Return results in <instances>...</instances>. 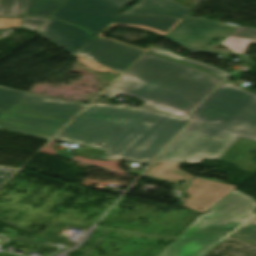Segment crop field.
Listing matches in <instances>:
<instances>
[{
    "instance_id": "1",
    "label": "crop field",
    "mask_w": 256,
    "mask_h": 256,
    "mask_svg": "<svg viewBox=\"0 0 256 256\" xmlns=\"http://www.w3.org/2000/svg\"><path fill=\"white\" fill-rule=\"evenodd\" d=\"M188 122L123 103H93L54 140L105 150L98 159L148 164Z\"/></svg>"
},
{
    "instance_id": "2",
    "label": "crop field",
    "mask_w": 256,
    "mask_h": 256,
    "mask_svg": "<svg viewBox=\"0 0 256 256\" xmlns=\"http://www.w3.org/2000/svg\"><path fill=\"white\" fill-rule=\"evenodd\" d=\"M193 122L156 158L218 160L239 138L256 141V95L224 81L192 114Z\"/></svg>"
},
{
    "instance_id": "3",
    "label": "crop field",
    "mask_w": 256,
    "mask_h": 256,
    "mask_svg": "<svg viewBox=\"0 0 256 256\" xmlns=\"http://www.w3.org/2000/svg\"><path fill=\"white\" fill-rule=\"evenodd\" d=\"M220 81L196 68L146 54L102 96L137 98L145 101L142 107L185 117Z\"/></svg>"
},
{
    "instance_id": "4",
    "label": "crop field",
    "mask_w": 256,
    "mask_h": 256,
    "mask_svg": "<svg viewBox=\"0 0 256 256\" xmlns=\"http://www.w3.org/2000/svg\"><path fill=\"white\" fill-rule=\"evenodd\" d=\"M255 209L253 199L234 190L208 214L198 217L158 256H201L253 215Z\"/></svg>"
},
{
    "instance_id": "5",
    "label": "crop field",
    "mask_w": 256,
    "mask_h": 256,
    "mask_svg": "<svg viewBox=\"0 0 256 256\" xmlns=\"http://www.w3.org/2000/svg\"><path fill=\"white\" fill-rule=\"evenodd\" d=\"M85 106L26 94L0 116V128L51 139Z\"/></svg>"
},
{
    "instance_id": "6",
    "label": "crop field",
    "mask_w": 256,
    "mask_h": 256,
    "mask_svg": "<svg viewBox=\"0 0 256 256\" xmlns=\"http://www.w3.org/2000/svg\"><path fill=\"white\" fill-rule=\"evenodd\" d=\"M189 12L190 11L188 9L184 8L173 0H141L137 5L132 7L129 11H126L124 14L164 15L168 17L184 19ZM180 21V19H173L167 17H140L131 15H120L110 26H127L147 29L154 33L165 36ZM110 26H108L97 36L106 38L104 36H101V34H103Z\"/></svg>"
},
{
    "instance_id": "7",
    "label": "crop field",
    "mask_w": 256,
    "mask_h": 256,
    "mask_svg": "<svg viewBox=\"0 0 256 256\" xmlns=\"http://www.w3.org/2000/svg\"><path fill=\"white\" fill-rule=\"evenodd\" d=\"M237 27V25L214 22L187 15L186 18L165 37L187 50L219 54V57L222 59H228L230 58V55H237L246 63L254 64V62L246 55L225 53L203 48V46L216 35L227 37Z\"/></svg>"
},
{
    "instance_id": "8",
    "label": "crop field",
    "mask_w": 256,
    "mask_h": 256,
    "mask_svg": "<svg viewBox=\"0 0 256 256\" xmlns=\"http://www.w3.org/2000/svg\"><path fill=\"white\" fill-rule=\"evenodd\" d=\"M142 53V51L94 37L75 56L78 57L77 61L91 70L120 74Z\"/></svg>"
},
{
    "instance_id": "9",
    "label": "crop field",
    "mask_w": 256,
    "mask_h": 256,
    "mask_svg": "<svg viewBox=\"0 0 256 256\" xmlns=\"http://www.w3.org/2000/svg\"><path fill=\"white\" fill-rule=\"evenodd\" d=\"M119 15L111 10L65 0L51 17L78 25L97 35Z\"/></svg>"
},
{
    "instance_id": "10",
    "label": "crop field",
    "mask_w": 256,
    "mask_h": 256,
    "mask_svg": "<svg viewBox=\"0 0 256 256\" xmlns=\"http://www.w3.org/2000/svg\"><path fill=\"white\" fill-rule=\"evenodd\" d=\"M235 188L234 185L196 178L185 191L190 197L181 206L204 213Z\"/></svg>"
},
{
    "instance_id": "11",
    "label": "crop field",
    "mask_w": 256,
    "mask_h": 256,
    "mask_svg": "<svg viewBox=\"0 0 256 256\" xmlns=\"http://www.w3.org/2000/svg\"><path fill=\"white\" fill-rule=\"evenodd\" d=\"M38 31L71 55L93 38L80 28L50 18L43 23Z\"/></svg>"
},
{
    "instance_id": "12",
    "label": "crop field",
    "mask_w": 256,
    "mask_h": 256,
    "mask_svg": "<svg viewBox=\"0 0 256 256\" xmlns=\"http://www.w3.org/2000/svg\"><path fill=\"white\" fill-rule=\"evenodd\" d=\"M155 162H161V164L155 165ZM180 164L181 163L179 162L154 160L142 176L173 183L176 189L183 190L188 181L194 176L179 169L178 166ZM183 179L186 180L183 186L181 188L176 187V185Z\"/></svg>"
},
{
    "instance_id": "13",
    "label": "crop field",
    "mask_w": 256,
    "mask_h": 256,
    "mask_svg": "<svg viewBox=\"0 0 256 256\" xmlns=\"http://www.w3.org/2000/svg\"><path fill=\"white\" fill-rule=\"evenodd\" d=\"M205 256H256V246L230 237Z\"/></svg>"
},
{
    "instance_id": "14",
    "label": "crop field",
    "mask_w": 256,
    "mask_h": 256,
    "mask_svg": "<svg viewBox=\"0 0 256 256\" xmlns=\"http://www.w3.org/2000/svg\"><path fill=\"white\" fill-rule=\"evenodd\" d=\"M250 42L256 43V29L239 26L221 44L229 47L231 52L244 54Z\"/></svg>"
},
{
    "instance_id": "15",
    "label": "crop field",
    "mask_w": 256,
    "mask_h": 256,
    "mask_svg": "<svg viewBox=\"0 0 256 256\" xmlns=\"http://www.w3.org/2000/svg\"><path fill=\"white\" fill-rule=\"evenodd\" d=\"M64 0H26L23 16H50Z\"/></svg>"
},
{
    "instance_id": "16",
    "label": "crop field",
    "mask_w": 256,
    "mask_h": 256,
    "mask_svg": "<svg viewBox=\"0 0 256 256\" xmlns=\"http://www.w3.org/2000/svg\"><path fill=\"white\" fill-rule=\"evenodd\" d=\"M149 52H152V53H155V54H158V55L170 58V59H174V60L189 64V65H192V66H195V67H198V68H202V69H204V70H206L210 73H213L217 76H220L222 78H224L227 74H229L226 71H223L221 69L202 64V63L197 62V61L181 58V57L171 53L170 51H168L164 48L158 47V46L153 47L151 50H149Z\"/></svg>"
},
{
    "instance_id": "17",
    "label": "crop field",
    "mask_w": 256,
    "mask_h": 256,
    "mask_svg": "<svg viewBox=\"0 0 256 256\" xmlns=\"http://www.w3.org/2000/svg\"><path fill=\"white\" fill-rule=\"evenodd\" d=\"M25 0H0V16H22Z\"/></svg>"
},
{
    "instance_id": "18",
    "label": "crop field",
    "mask_w": 256,
    "mask_h": 256,
    "mask_svg": "<svg viewBox=\"0 0 256 256\" xmlns=\"http://www.w3.org/2000/svg\"><path fill=\"white\" fill-rule=\"evenodd\" d=\"M232 235L256 243V217L248 220L234 233H232Z\"/></svg>"
},
{
    "instance_id": "19",
    "label": "crop field",
    "mask_w": 256,
    "mask_h": 256,
    "mask_svg": "<svg viewBox=\"0 0 256 256\" xmlns=\"http://www.w3.org/2000/svg\"><path fill=\"white\" fill-rule=\"evenodd\" d=\"M25 94L0 87V110L6 111Z\"/></svg>"
},
{
    "instance_id": "20",
    "label": "crop field",
    "mask_w": 256,
    "mask_h": 256,
    "mask_svg": "<svg viewBox=\"0 0 256 256\" xmlns=\"http://www.w3.org/2000/svg\"><path fill=\"white\" fill-rule=\"evenodd\" d=\"M120 12L132 0H75Z\"/></svg>"
},
{
    "instance_id": "21",
    "label": "crop field",
    "mask_w": 256,
    "mask_h": 256,
    "mask_svg": "<svg viewBox=\"0 0 256 256\" xmlns=\"http://www.w3.org/2000/svg\"><path fill=\"white\" fill-rule=\"evenodd\" d=\"M46 19L41 17L22 18L21 26L37 30Z\"/></svg>"
},
{
    "instance_id": "22",
    "label": "crop field",
    "mask_w": 256,
    "mask_h": 256,
    "mask_svg": "<svg viewBox=\"0 0 256 256\" xmlns=\"http://www.w3.org/2000/svg\"><path fill=\"white\" fill-rule=\"evenodd\" d=\"M21 22L20 19H9V18H0V28L3 27H19Z\"/></svg>"
},
{
    "instance_id": "23",
    "label": "crop field",
    "mask_w": 256,
    "mask_h": 256,
    "mask_svg": "<svg viewBox=\"0 0 256 256\" xmlns=\"http://www.w3.org/2000/svg\"><path fill=\"white\" fill-rule=\"evenodd\" d=\"M14 168L2 167L0 166V185L8 179L15 171Z\"/></svg>"
},
{
    "instance_id": "24",
    "label": "crop field",
    "mask_w": 256,
    "mask_h": 256,
    "mask_svg": "<svg viewBox=\"0 0 256 256\" xmlns=\"http://www.w3.org/2000/svg\"><path fill=\"white\" fill-rule=\"evenodd\" d=\"M2 113H4V111H0V115H1Z\"/></svg>"
}]
</instances>
